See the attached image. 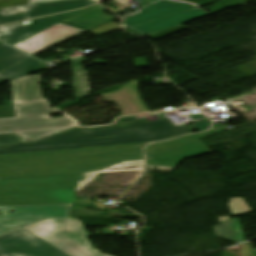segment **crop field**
Here are the masks:
<instances>
[{
	"mask_svg": "<svg viewBox=\"0 0 256 256\" xmlns=\"http://www.w3.org/2000/svg\"><path fill=\"white\" fill-rule=\"evenodd\" d=\"M192 8L196 7L187 3L161 0L154 4L143 7L138 13L123 19L126 28L134 29L145 35H150L209 15L208 13L197 9L135 27L148 21Z\"/></svg>",
	"mask_w": 256,
	"mask_h": 256,
	"instance_id": "f4fd0767",
	"label": "crop field"
},
{
	"mask_svg": "<svg viewBox=\"0 0 256 256\" xmlns=\"http://www.w3.org/2000/svg\"><path fill=\"white\" fill-rule=\"evenodd\" d=\"M95 63H98V64H104V63H106V61H104V60L100 59V60L96 61Z\"/></svg>",
	"mask_w": 256,
	"mask_h": 256,
	"instance_id": "1d83c4d3",
	"label": "crop field"
},
{
	"mask_svg": "<svg viewBox=\"0 0 256 256\" xmlns=\"http://www.w3.org/2000/svg\"><path fill=\"white\" fill-rule=\"evenodd\" d=\"M241 253L242 256H255L248 247L247 243L242 245Z\"/></svg>",
	"mask_w": 256,
	"mask_h": 256,
	"instance_id": "00972430",
	"label": "crop field"
},
{
	"mask_svg": "<svg viewBox=\"0 0 256 256\" xmlns=\"http://www.w3.org/2000/svg\"><path fill=\"white\" fill-rule=\"evenodd\" d=\"M137 67L147 66L144 58L134 59Z\"/></svg>",
	"mask_w": 256,
	"mask_h": 256,
	"instance_id": "730fd06b",
	"label": "crop field"
},
{
	"mask_svg": "<svg viewBox=\"0 0 256 256\" xmlns=\"http://www.w3.org/2000/svg\"><path fill=\"white\" fill-rule=\"evenodd\" d=\"M79 11L31 20V23L26 25H22L20 23L6 25L5 28L8 31L0 33V40L13 44Z\"/></svg>",
	"mask_w": 256,
	"mask_h": 256,
	"instance_id": "28ad6ade",
	"label": "crop field"
},
{
	"mask_svg": "<svg viewBox=\"0 0 256 256\" xmlns=\"http://www.w3.org/2000/svg\"><path fill=\"white\" fill-rule=\"evenodd\" d=\"M168 109H173V108L160 109V110H156V111H152V112H160V111H164V110H168ZM138 114H140V113H138ZM138 114H134V115H138ZM127 116H133V115H127ZM122 117H124V116H122ZM117 118H121V117H117Z\"/></svg>",
	"mask_w": 256,
	"mask_h": 256,
	"instance_id": "750c4746",
	"label": "crop field"
},
{
	"mask_svg": "<svg viewBox=\"0 0 256 256\" xmlns=\"http://www.w3.org/2000/svg\"><path fill=\"white\" fill-rule=\"evenodd\" d=\"M44 63L6 45H0V84L40 71Z\"/></svg>",
	"mask_w": 256,
	"mask_h": 256,
	"instance_id": "5a996713",
	"label": "crop field"
},
{
	"mask_svg": "<svg viewBox=\"0 0 256 256\" xmlns=\"http://www.w3.org/2000/svg\"><path fill=\"white\" fill-rule=\"evenodd\" d=\"M159 0H140V3L138 4V8H141L143 6H146L148 4L154 3Z\"/></svg>",
	"mask_w": 256,
	"mask_h": 256,
	"instance_id": "4177f3b9",
	"label": "crop field"
},
{
	"mask_svg": "<svg viewBox=\"0 0 256 256\" xmlns=\"http://www.w3.org/2000/svg\"><path fill=\"white\" fill-rule=\"evenodd\" d=\"M15 117L12 101H5L4 106L0 107V118Z\"/></svg>",
	"mask_w": 256,
	"mask_h": 256,
	"instance_id": "bc2a9ffb",
	"label": "crop field"
},
{
	"mask_svg": "<svg viewBox=\"0 0 256 256\" xmlns=\"http://www.w3.org/2000/svg\"><path fill=\"white\" fill-rule=\"evenodd\" d=\"M8 10H9L10 12H21V11L26 12L24 6H22V7H16V8H10V9H8ZM26 17H27V14H26ZM27 19H28V18H27Z\"/></svg>",
	"mask_w": 256,
	"mask_h": 256,
	"instance_id": "d3111659",
	"label": "crop field"
},
{
	"mask_svg": "<svg viewBox=\"0 0 256 256\" xmlns=\"http://www.w3.org/2000/svg\"><path fill=\"white\" fill-rule=\"evenodd\" d=\"M232 220V219H231ZM216 237L229 240L235 244L245 241L237 219L214 226Z\"/></svg>",
	"mask_w": 256,
	"mask_h": 256,
	"instance_id": "5142ce71",
	"label": "crop field"
},
{
	"mask_svg": "<svg viewBox=\"0 0 256 256\" xmlns=\"http://www.w3.org/2000/svg\"><path fill=\"white\" fill-rule=\"evenodd\" d=\"M143 161L140 162H132V163H126L123 165H119L104 171H113V170H124V169H136V168H141L142 167ZM98 173H92V174H87V181H80L79 188H78V196L80 193L85 189V187L93 180V178L97 175Z\"/></svg>",
	"mask_w": 256,
	"mask_h": 256,
	"instance_id": "733c2abd",
	"label": "crop field"
},
{
	"mask_svg": "<svg viewBox=\"0 0 256 256\" xmlns=\"http://www.w3.org/2000/svg\"><path fill=\"white\" fill-rule=\"evenodd\" d=\"M146 144L0 156V205L90 202L76 200L86 173L143 160Z\"/></svg>",
	"mask_w": 256,
	"mask_h": 256,
	"instance_id": "8a807250",
	"label": "crop field"
},
{
	"mask_svg": "<svg viewBox=\"0 0 256 256\" xmlns=\"http://www.w3.org/2000/svg\"><path fill=\"white\" fill-rule=\"evenodd\" d=\"M53 1H63V0H29L28 4H33V3H43V2H53ZM93 2H98L100 0H92Z\"/></svg>",
	"mask_w": 256,
	"mask_h": 256,
	"instance_id": "a9b5d70f",
	"label": "crop field"
},
{
	"mask_svg": "<svg viewBox=\"0 0 256 256\" xmlns=\"http://www.w3.org/2000/svg\"><path fill=\"white\" fill-rule=\"evenodd\" d=\"M0 256H67L24 229L0 236Z\"/></svg>",
	"mask_w": 256,
	"mask_h": 256,
	"instance_id": "d8731c3e",
	"label": "crop field"
},
{
	"mask_svg": "<svg viewBox=\"0 0 256 256\" xmlns=\"http://www.w3.org/2000/svg\"><path fill=\"white\" fill-rule=\"evenodd\" d=\"M28 0H0V9L26 5Z\"/></svg>",
	"mask_w": 256,
	"mask_h": 256,
	"instance_id": "214f88e0",
	"label": "crop field"
},
{
	"mask_svg": "<svg viewBox=\"0 0 256 256\" xmlns=\"http://www.w3.org/2000/svg\"><path fill=\"white\" fill-rule=\"evenodd\" d=\"M26 19L25 13H9L7 9L0 10V24Z\"/></svg>",
	"mask_w": 256,
	"mask_h": 256,
	"instance_id": "4a817a6b",
	"label": "crop field"
},
{
	"mask_svg": "<svg viewBox=\"0 0 256 256\" xmlns=\"http://www.w3.org/2000/svg\"><path fill=\"white\" fill-rule=\"evenodd\" d=\"M16 118L0 119V134L15 132L30 141L68 128L78 126V121L61 113L42 98L39 75L25 76L10 82Z\"/></svg>",
	"mask_w": 256,
	"mask_h": 256,
	"instance_id": "34b2d1b8",
	"label": "crop field"
},
{
	"mask_svg": "<svg viewBox=\"0 0 256 256\" xmlns=\"http://www.w3.org/2000/svg\"><path fill=\"white\" fill-rule=\"evenodd\" d=\"M156 116H158L162 121H158V122H162L165 126H169V125H172L167 119H165L163 117V114L160 113V114H157Z\"/></svg>",
	"mask_w": 256,
	"mask_h": 256,
	"instance_id": "ae1a2a85",
	"label": "crop field"
},
{
	"mask_svg": "<svg viewBox=\"0 0 256 256\" xmlns=\"http://www.w3.org/2000/svg\"><path fill=\"white\" fill-rule=\"evenodd\" d=\"M106 11L99 5L88 8L84 12H80L60 23L68 24L78 28L90 30L94 27L102 25L111 19L116 18V16H107L103 12Z\"/></svg>",
	"mask_w": 256,
	"mask_h": 256,
	"instance_id": "22f410ed",
	"label": "crop field"
},
{
	"mask_svg": "<svg viewBox=\"0 0 256 256\" xmlns=\"http://www.w3.org/2000/svg\"><path fill=\"white\" fill-rule=\"evenodd\" d=\"M184 29H187V28L184 27V26H181V27H178V28H175V29H172V30L163 31V32H160V33H157V34H153V35H150L148 37L155 40V39L170 35L172 33H175V32H178V31H181V30H184Z\"/></svg>",
	"mask_w": 256,
	"mask_h": 256,
	"instance_id": "92a150f3",
	"label": "crop field"
},
{
	"mask_svg": "<svg viewBox=\"0 0 256 256\" xmlns=\"http://www.w3.org/2000/svg\"><path fill=\"white\" fill-rule=\"evenodd\" d=\"M72 205L0 206V235L46 218L69 217Z\"/></svg>",
	"mask_w": 256,
	"mask_h": 256,
	"instance_id": "e52e79f7",
	"label": "crop field"
},
{
	"mask_svg": "<svg viewBox=\"0 0 256 256\" xmlns=\"http://www.w3.org/2000/svg\"><path fill=\"white\" fill-rule=\"evenodd\" d=\"M83 61H85L84 57L72 61V62H71L72 68L81 66L80 63L83 62Z\"/></svg>",
	"mask_w": 256,
	"mask_h": 256,
	"instance_id": "eef30255",
	"label": "crop field"
},
{
	"mask_svg": "<svg viewBox=\"0 0 256 256\" xmlns=\"http://www.w3.org/2000/svg\"><path fill=\"white\" fill-rule=\"evenodd\" d=\"M191 119H196V118H202V117H205L204 115L202 114H197V115H193V116H190Z\"/></svg>",
	"mask_w": 256,
	"mask_h": 256,
	"instance_id": "bd1437ed",
	"label": "crop field"
},
{
	"mask_svg": "<svg viewBox=\"0 0 256 256\" xmlns=\"http://www.w3.org/2000/svg\"><path fill=\"white\" fill-rule=\"evenodd\" d=\"M2 31H6V29L3 26L0 27V32Z\"/></svg>",
	"mask_w": 256,
	"mask_h": 256,
	"instance_id": "120bbe31",
	"label": "crop field"
},
{
	"mask_svg": "<svg viewBox=\"0 0 256 256\" xmlns=\"http://www.w3.org/2000/svg\"><path fill=\"white\" fill-rule=\"evenodd\" d=\"M23 228L68 256H108L91 246L89 233L74 218L46 219Z\"/></svg>",
	"mask_w": 256,
	"mask_h": 256,
	"instance_id": "412701ff",
	"label": "crop field"
},
{
	"mask_svg": "<svg viewBox=\"0 0 256 256\" xmlns=\"http://www.w3.org/2000/svg\"><path fill=\"white\" fill-rule=\"evenodd\" d=\"M83 31L85 30L58 23L13 46L30 55H33L41 50H44L50 46H54L68 38H71Z\"/></svg>",
	"mask_w": 256,
	"mask_h": 256,
	"instance_id": "3316defc",
	"label": "crop field"
},
{
	"mask_svg": "<svg viewBox=\"0 0 256 256\" xmlns=\"http://www.w3.org/2000/svg\"><path fill=\"white\" fill-rule=\"evenodd\" d=\"M209 127H210V123L198 122V123H195L194 130L201 132V131L207 130Z\"/></svg>",
	"mask_w": 256,
	"mask_h": 256,
	"instance_id": "dafd665d",
	"label": "crop field"
},
{
	"mask_svg": "<svg viewBox=\"0 0 256 256\" xmlns=\"http://www.w3.org/2000/svg\"><path fill=\"white\" fill-rule=\"evenodd\" d=\"M193 126L165 127L133 116L116 119L111 125H81L30 142L15 133L1 134L0 155L162 141L191 133Z\"/></svg>",
	"mask_w": 256,
	"mask_h": 256,
	"instance_id": "ac0d7876",
	"label": "crop field"
},
{
	"mask_svg": "<svg viewBox=\"0 0 256 256\" xmlns=\"http://www.w3.org/2000/svg\"><path fill=\"white\" fill-rule=\"evenodd\" d=\"M74 96L89 95V83L87 71L82 68L72 70Z\"/></svg>",
	"mask_w": 256,
	"mask_h": 256,
	"instance_id": "d9b57169",
	"label": "crop field"
},
{
	"mask_svg": "<svg viewBox=\"0 0 256 256\" xmlns=\"http://www.w3.org/2000/svg\"><path fill=\"white\" fill-rule=\"evenodd\" d=\"M101 96L107 102L114 101L121 109V116L148 111L145 106L143 107L144 104L138 96V80L132 81L130 85L122 87L119 91Z\"/></svg>",
	"mask_w": 256,
	"mask_h": 256,
	"instance_id": "d1516ede",
	"label": "crop field"
},
{
	"mask_svg": "<svg viewBox=\"0 0 256 256\" xmlns=\"http://www.w3.org/2000/svg\"><path fill=\"white\" fill-rule=\"evenodd\" d=\"M0 44H2V43L0 42Z\"/></svg>",
	"mask_w": 256,
	"mask_h": 256,
	"instance_id": "d32e631a",
	"label": "crop field"
},
{
	"mask_svg": "<svg viewBox=\"0 0 256 256\" xmlns=\"http://www.w3.org/2000/svg\"><path fill=\"white\" fill-rule=\"evenodd\" d=\"M94 4L91 0H73L43 4L26 5L28 18L41 17L61 11L78 9L88 5Z\"/></svg>",
	"mask_w": 256,
	"mask_h": 256,
	"instance_id": "cbeb9de0",
	"label": "crop field"
},
{
	"mask_svg": "<svg viewBox=\"0 0 256 256\" xmlns=\"http://www.w3.org/2000/svg\"><path fill=\"white\" fill-rule=\"evenodd\" d=\"M227 127H216L202 134L187 135L169 142L151 144L145 150L148 157L146 165L175 168L184 159L212 153L198 138Z\"/></svg>",
	"mask_w": 256,
	"mask_h": 256,
	"instance_id": "dd49c442",
	"label": "crop field"
}]
</instances>
